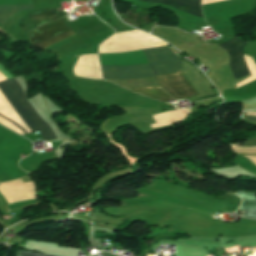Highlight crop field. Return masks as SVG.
<instances>
[{
    "mask_svg": "<svg viewBox=\"0 0 256 256\" xmlns=\"http://www.w3.org/2000/svg\"><path fill=\"white\" fill-rule=\"evenodd\" d=\"M152 3H163L187 13L203 17L200 0H143Z\"/></svg>",
    "mask_w": 256,
    "mask_h": 256,
    "instance_id": "f4fd0767",
    "label": "crop field"
},
{
    "mask_svg": "<svg viewBox=\"0 0 256 256\" xmlns=\"http://www.w3.org/2000/svg\"><path fill=\"white\" fill-rule=\"evenodd\" d=\"M254 155H256V154H254ZM246 156H251V155H246Z\"/></svg>",
    "mask_w": 256,
    "mask_h": 256,
    "instance_id": "22f410ed",
    "label": "crop field"
},
{
    "mask_svg": "<svg viewBox=\"0 0 256 256\" xmlns=\"http://www.w3.org/2000/svg\"><path fill=\"white\" fill-rule=\"evenodd\" d=\"M15 256H49V255H43V254H41V253L17 251V253H16Z\"/></svg>",
    "mask_w": 256,
    "mask_h": 256,
    "instance_id": "3316defc",
    "label": "crop field"
},
{
    "mask_svg": "<svg viewBox=\"0 0 256 256\" xmlns=\"http://www.w3.org/2000/svg\"><path fill=\"white\" fill-rule=\"evenodd\" d=\"M32 8H34L32 4L0 7V22L4 24L12 14L19 12L21 10L32 9Z\"/></svg>",
    "mask_w": 256,
    "mask_h": 256,
    "instance_id": "5a996713",
    "label": "crop field"
},
{
    "mask_svg": "<svg viewBox=\"0 0 256 256\" xmlns=\"http://www.w3.org/2000/svg\"><path fill=\"white\" fill-rule=\"evenodd\" d=\"M236 194L242 197V205L239 210L244 209L246 217L256 218V193L237 192Z\"/></svg>",
    "mask_w": 256,
    "mask_h": 256,
    "instance_id": "e52e79f7",
    "label": "crop field"
},
{
    "mask_svg": "<svg viewBox=\"0 0 256 256\" xmlns=\"http://www.w3.org/2000/svg\"><path fill=\"white\" fill-rule=\"evenodd\" d=\"M66 16L65 14L58 12L56 10L48 9V10H41L35 13L29 14L30 20L33 24L39 26L48 22H51L55 19L60 17Z\"/></svg>",
    "mask_w": 256,
    "mask_h": 256,
    "instance_id": "dd49c442",
    "label": "crop field"
},
{
    "mask_svg": "<svg viewBox=\"0 0 256 256\" xmlns=\"http://www.w3.org/2000/svg\"><path fill=\"white\" fill-rule=\"evenodd\" d=\"M254 146H256V138L249 139L241 147H254Z\"/></svg>",
    "mask_w": 256,
    "mask_h": 256,
    "instance_id": "28ad6ade",
    "label": "crop field"
},
{
    "mask_svg": "<svg viewBox=\"0 0 256 256\" xmlns=\"http://www.w3.org/2000/svg\"><path fill=\"white\" fill-rule=\"evenodd\" d=\"M246 117V119L248 120V121H254V122H256V117H249V116H245Z\"/></svg>",
    "mask_w": 256,
    "mask_h": 256,
    "instance_id": "d1516ede",
    "label": "crop field"
},
{
    "mask_svg": "<svg viewBox=\"0 0 256 256\" xmlns=\"http://www.w3.org/2000/svg\"><path fill=\"white\" fill-rule=\"evenodd\" d=\"M0 89L8 98V100L12 103L18 113L22 116L25 122L29 125L33 132L39 131L44 141L56 138L52 133L50 127L39 117L34 108L25 99L21 87L17 84L15 79L12 78L7 81L0 82ZM14 127L17 128L16 126ZM19 130L22 131L21 129ZM22 132L27 134L24 131Z\"/></svg>",
    "mask_w": 256,
    "mask_h": 256,
    "instance_id": "ac0d7876",
    "label": "crop field"
},
{
    "mask_svg": "<svg viewBox=\"0 0 256 256\" xmlns=\"http://www.w3.org/2000/svg\"><path fill=\"white\" fill-rule=\"evenodd\" d=\"M69 29H71V27L66 28L63 19L49 23V24L39 27L29 33L31 43L34 45H37L47 39H50L58 34L65 32ZM73 35H75V32L73 31V29H71V30H69L61 35H58L50 40H47L37 46H41L43 49H45L53 44H56L64 39H67Z\"/></svg>",
    "mask_w": 256,
    "mask_h": 256,
    "instance_id": "34b2d1b8",
    "label": "crop field"
},
{
    "mask_svg": "<svg viewBox=\"0 0 256 256\" xmlns=\"http://www.w3.org/2000/svg\"><path fill=\"white\" fill-rule=\"evenodd\" d=\"M134 91L142 94L153 97L159 101H168L174 98L170 97L167 93H165L160 87H152V88H138L133 89Z\"/></svg>",
    "mask_w": 256,
    "mask_h": 256,
    "instance_id": "d8731c3e",
    "label": "crop field"
},
{
    "mask_svg": "<svg viewBox=\"0 0 256 256\" xmlns=\"http://www.w3.org/2000/svg\"><path fill=\"white\" fill-rule=\"evenodd\" d=\"M245 44L246 42H243L236 37L220 44V46L230 54V69L235 79L250 73L243 56V48Z\"/></svg>",
    "mask_w": 256,
    "mask_h": 256,
    "instance_id": "412701ff",
    "label": "crop field"
},
{
    "mask_svg": "<svg viewBox=\"0 0 256 256\" xmlns=\"http://www.w3.org/2000/svg\"><path fill=\"white\" fill-rule=\"evenodd\" d=\"M149 63L129 67L101 66L104 79H129L181 73V60L170 48L143 50ZM157 83L176 99L196 96L182 74L156 77Z\"/></svg>",
    "mask_w": 256,
    "mask_h": 256,
    "instance_id": "8a807250",
    "label": "crop field"
}]
</instances>
